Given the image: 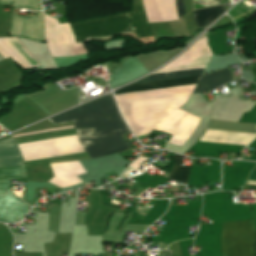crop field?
Masks as SVG:
<instances>
[{
  "instance_id": "dd49c442",
  "label": "crop field",
  "mask_w": 256,
  "mask_h": 256,
  "mask_svg": "<svg viewBox=\"0 0 256 256\" xmlns=\"http://www.w3.org/2000/svg\"><path fill=\"white\" fill-rule=\"evenodd\" d=\"M24 164L12 138L0 141V167Z\"/></svg>"
},
{
  "instance_id": "d8731c3e",
  "label": "crop field",
  "mask_w": 256,
  "mask_h": 256,
  "mask_svg": "<svg viewBox=\"0 0 256 256\" xmlns=\"http://www.w3.org/2000/svg\"><path fill=\"white\" fill-rule=\"evenodd\" d=\"M225 9L223 5L193 11L194 21L198 29L211 23Z\"/></svg>"
},
{
  "instance_id": "f4fd0767",
  "label": "crop field",
  "mask_w": 256,
  "mask_h": 256,
  "mask_svg": "<svg viewBox=\"0 0 256 256\" xmlns=\"http://www.w3.org/2000/svg\"><path fill=\"white\" fill-rule=\"evenodd\" d=\"M25 204L11 191L0 197V222L12 223L21 220L30 209Z\"/></svg>"
},
{
  "instance_id": "ac0d7876",
  "label": "crop field",
  "mask_w": 256,
  "mask_h": 256,
  "mask_svg": "<svg viewBox=\"0 0 256 256\" xmlns=\"http://www.w3.org/2000/svg\"><path fill=\"white\" fill-rule=\"evenodd\" d=\"M203 71H204V69L173 72V73L154 74V75L147 76L135 83L197 77V76H201V73ZM199 78L200 77L179 79V80H170V81H161V82H152V83H143V84H134L133 83L134 85H128V86H125L118 90H115L114 94L117 95V94H121V93L193 84V83H197ZM230 81H232L231 74H229L228 68L226 67L220 71H217V72H214V73H211L208 75H202V77L198 81L195 89H194V87H192V88L128 95V96L117 97L115 99H116V101H119V100H124V99H128V98H134V97H142V96H150V95H158V94H166V93H174V92L191 94L193 89H194L193 93L206 92V91H211L215 88H218Z\"/></svg>"
},
{
  "instance_id": "5a996713",
  "label": "crop field",
  "mask_w": 256,
  "mask_h": 256,
  "mask_svg": "<svg viewBox=\"0 0 256 256\" xmlns=\"http://www.w3.org/2000/svg\"><path fill=\"white\" fill-rule=\"evenodd\" d=\"M180 157V155L174 154L176 165L169 178L186 184L191 166H180Z\"/></svg>"
},
{
  "instance_id": "412701ff",
  "label": "crop field",
  "mask_w": 256,
  "mask_h": 256,
  "mask_svg": "<svg viewBox=\"0 0 256 256\" xmlns=\"http://www.w3.org/2000/svg\"><path fill=\"white\" fill-rule=\"evenodd\" d=\"M256 231L253 220L222 223V255L254 256Z\"/></svg>"
},
{
  "instance_id": "8a807250",
  "label": "crop field",
  "mask_w": 256,
  "mask_h": 256,
  "mask_svg": "<svg viewBox=\"0 0 256 256\" xmlns=\"http://www.w3.org/2000/svg\"><path fill=\"white\" fill-rule=\"evenodd\" d=\"M47 120L53 124L73 121L78 141L90 159L129 149L122 135L128 130L110 94Z\"/></svg>"
},
{
  "instance_id": "e52e79f7",
  "label": "crop field",
  "mask_w": 256,
  "mask_h": 256,
  "mask_svg": "<svg viewBox=\"0 0 256 256\" xmlns=\"http://www.w3.org/2000/svg\"><path fill=\"white\" fill-rule=\"evenodd\" d=\"M26 178L24 165L0 168V196L9 188V179Z\"/></svg>"
},
{
  "instance_id": "3316defc",
  "label": "crop field",
  "mask_w": 256,
  "mask_h": 256,
  "mask_svg": "<svg viewBox=\"0 0 256 256\" xmlns=\"http://www.w3.org/2000/svg\"><path fill=\"white\" fill-rule=\"evenodd\" d=\"M176 12H177L178 18H180L183 14H185L183 0H176Z\"/></svg>"
},
{
  "instance_id": "34b2d1b8",
  "label": "crop field",
  "mask_w": 256,
  "mask_h": 256,
  "mask_svg": "<svg viewBox=\"0 0 256 256\" xmlns=\"http://www.w3.org/2000/svg\"><path fill=\"white\" fill-rule=\"evenodd\" d=\"M132 12L69 24L76 42L134 31L137 38L152 36L142 0H133Z\"/></svg>"
}]
</instances>
